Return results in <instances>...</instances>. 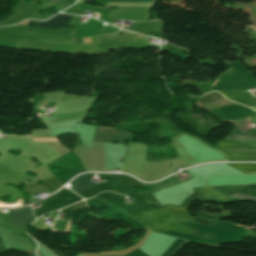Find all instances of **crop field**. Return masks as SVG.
Instances as JSON below:
<instances>
[{
	"mask_svg": "<svg viewBox=\"0 0 256 256\" xmlns=\"http://www.w3.org/2000/svg\"><path fill=\"white\" fill-rule=\"evenodd\" d=\"M241 226V225H240ZM245 227V226H244ZM245 228H247V227H245Z\"/></svg>",
	"mask_w": 256,
	"mask_h": 256,
	"instance_id": "13",
	"label": "crop field"
},
{
	"mask_svg": "<svg viewBox=\"0 0 256 256\" xmlns=\"http://www.w3.org/2000/svg\"><path fill=\"white\" fill-rule=\"evenodd\" d=\"M186 240L178 238L174 244L163 254V256H170L180 245H182Z\"/></svg>",
	"mask_w": 256,
	"mask_h": 256,
	"instance_id": "10",
	"label": "crop field"
},
{
	"mask_svg": "<svg viewBox=\"0 0 256 256\" xmlns=\"http://www.w3.org/2000/svg\"><path fill=\"white\" fill-rule=\"evenodd\" d=\"M69 223H70V222H66V221H62V220H57V222L54 224V226L52 227V229L58 230V231H61V232L65 233V232H66V229H67V227H68V225H69ZM71 224H72V223H70V225H69V227H68V229H67V232H68V230H69ZM71 228H72V226H71ZM71 228H70V230H69L68 233H71ZM67 232H66V233H67Z\"/></svg>",
	"mask_w": 256,
	"mask_h": 256,
	"instance_id": "8",
	"label": "crop field"
},
{
	"mask_svg": "<svg viewBox=\"0 0 256 256\" xmlns=\"http://www.w3.org/2000/svg\"><path fill=\"white\" fill-rule=\"evenodd\" d=\"M11 224L25 226L33 219L32 208H21L17 210H9Z\"/></svg>",
	"mask_w": 256,
	"mask_h": 256,
	"instance_id": "2",
	"label": "crop field"
},
{
	"mask_svg": "<svg viewBox=\"0 0 256 256\" xmlns=\"http://www.w3.org/2000/svg\"><path fill=\"white\" fill-rule=\"evenodd\" d=\"M236 194L256 196V185H247ZM242 195H234L232 197L256 200V197L242 196Z\"/></svg>",
	"mask_w": 256,
	"mask_h": 256,
	"instance_id": "6",
	"label": "crop field"
},
{
	"mask_svg": "<svg viewBox=\"0 0 256 256\" xmlns=\"http://www.w3.org/2000/svg\"><path fill=\"white\" fill-rule=\"evenodd\" d=\"M70 184L73 185V186H71V189L78 193L79 191H81L82 189L91 185L92 183L90 181H88L87 175L84 174V175L77 177Z\"/></svg>",
	"mask_w": 256,
	"mask_h": 256,
	"instance_id": "5",
	"label": "crop field"
},
{
	"mask_svg": "<svg viewBox=\"0 0 256 256\" xmlns=\"http://www.w3.org/2000/svg\"><path fill=\"white\" fill-rule=\"evenodd\" d=\"M34 140H57L56 138H34ZM51 150L59 157L70 150L66 149L62 146V144L59 141H44Z\"/></svg>",
	"mask_w": 256,
	"mask_h": 256,
	"instance_id": "4",
	"label": "crop field"
},
{
	"mask_svg": "<svg viewBox=\"0 0 256 256\" xmlns=\"http://www.w3.org/2000/svg\"><path fill=\"white\" fill-rule=\"evenodd\" d=\"M5 248H4V246H3V244H2V242H1V239H0V251H3Z\"/></svg>",
	"mask_w": 256,
	"mask_h": 256,
	"instance_id": "11",
	"label": "crop field"
},
{
	"mask_svg": "<svg viewBox=\"0 0 256 256\" xmlns=\"http://www.w3.org/2000/svg\"><path fill=\"white\" fill-rule=\"evenodd\" d=\"M253 33H255V34H256V30H253Z\"/></svg>",
	"mask_w": 256,
	"mask_h": 256,
	"instance_id": "12",
	"label": "crop field"
},
{
	"mask_svg": "<svg viewBox=\"0 0 256 256\" xmlns=\"http://www.w3.org/2000/svg\"><path fill=\"white\" fill-rule=\"evenodd\" d=\"M73 16L71 15H62L59 14L51 19H49L46 22H39L38 25L35 24V22L30 21L28 25H34V26H47V27H65L70 23V20Z\"/></svg>",
	"mask_w": 256,
	"mask_h": 256,
	"instance_id": "3",
	"label": "crop field"
},
{
	"mask_svg": "<svg viewBox=\"0 0 256 256\" xmlns=\"http://www.w3.org/2000/svg\"><path fill=\"white\" fill-rule=\"evenodd\" d=\"M94 0H86L92 3ZM156 0H108L107 6L118 8H152Z\"/></svg>",
	"mask_w": 256,
	"mask_h": 256,
	"instance_id": "1",
	"label": "crop field"
},
{
	"mask_svg": "<svg viewBox=\"0 0 256 256\" xmlns=\"http://www.w3.org/2000/svg\"><path fill=\"white\" fill-rule=\"evenodd\" d=\"M86 207L87 206H86L85 202L83 201V202L71 205L65 209H62L61 213H64V215L61 219L68 220L73 211H76V210H79L82 208H86Z\"/></svg>",
	"mask_w": 256,
	"mask_h": 256,
	"instance_id": "7",
	"label": "crop field"
},
{
	"mask_svg": "<svg viewBox=\"0 0 256 256\" xmlns=\"http://www.w3.org/2000/svg\"><path fill=\"white\" fill-rule=\"evenodd\" d=\"M82 113H87V111L84 112H74V113H68V114H64V115H57L54 118H58V117H64V116H70V115H76V114H82ZM86 115H82V116H74V117H68V118H62V119H55V120H48V121H44L45 124L51 123V122H59L65 119H71V118H77V117H83Z\"/></svg>",
	"mask_w": 256,
	"mask_h": 256,
	"instance_id": "9",
	"label": "crop field"
}]
</instances>
